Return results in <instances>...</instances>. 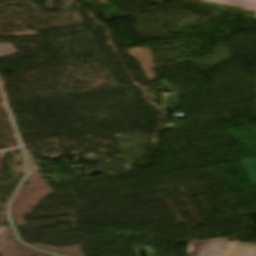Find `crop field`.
I'll return each mask as SVG.
<instances>
[{"instance_id":"8a807250","label":"crop field","mask_w":256,"mask_h":256,"mask_svg":"<svg viewBox=\"0 0 256 256\" xmlns=\"http://www.w3.org/2000/svg\"><path fill=\"white\" fill-rule=\"evenodd\" d=\"M233 238L189 242L187 256H253L256 244L239 243Z\"/></svg>"},{"instance_id":"ac0d7876","label":"crop field","mask_w":256,"mask_h":256,"mask_svg":"<svg viewBox=\"0 0 256 256\" xmlns=\"http://www.w3.org/2000/svg\"><path fill=\"white\" fill-rule=\"evenodd\" d=\"M202 1L236 5V6H241L243 9L256 11V0H202Z\"/></svg>"},{"instance_id":"34b2d1b8","label":"crop field","mask_w":256,"mask_h":256,"mask_svg":"<svg viewBox=\"0 0 256 256\" xmlns=\"http://www.w3.org/2000/svg\"><path fill=\"white\" fill-rule=\"evenodd\" d=\"M242 163L248 172L253 184H256V159L244 160Z\"/></svg>"}]
</instances>
